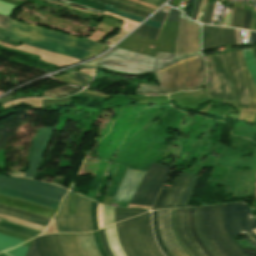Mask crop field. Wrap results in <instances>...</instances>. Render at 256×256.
Wrapping results in <instances>:
<instances>
[{"mask_svg": "<svg viewBox=\"0 0 256 256\" xmlns=\"http://www.w3.org/2000/svg\"><path fill=\"white\" fill-rule=\"evenodd\" d=\"M194 54H200L199 26L188 21L181 13L175 54L157 53V58H153L117 48L115 51L89 64L85 63L78 66H96L125 73H146L156 71L179 58Z\"/></svg>", "mask_w": 256, "mask_h": 256, "instance_id": "1", "label": "crop field"}, {"mask_svg": "<svg viewBox=\"0 0 256 256\" xmlns=\"http://www.w3.org/2000/svg\"><path fill=\"white\" fill-rule=\"evenodd\" d=\"M0 36L79 60L103 51L106 45L28 24L0 14ZM97 55V54H96Z\"/></svg>", "mask_w": 256, "mask_h": 256, "instance_id": "2", "label": "crop field"}, {"mask_svg": "<svg viewBox=\"0 0 256 256\" xmlns=\"http://www.w3.org/2000/svg\"><path fill=\"white\" fill-rule=\"evenodd\" d=\"M196 231L213 256H248L230 237L224 205L194 208Z\"/></svg>", "mask_w": 256, "mask_h": 256, "instance_id": "3", "label": "crop field"}, {"mask_svg": "<svg viewBox=\"0 0 256 256\" xmlns=\"http://www.w3.org/2000/svg\"><path fill=\"white\" fill-rule=\"evenodd\" d=\"M160 87L140 83L136 92L171 93L176 90H193L205 81L204 62L200 57L189 58L156 72Z\"/></svg>", "mask_w": 256, "mask_h": 256, "instance_id": "4", "label": "crop field"}, {"mask_svg": "<svg viewBox=\"0 0 256 256\" xmlns=\"http://www.w3.org/2000/svg\"><path fill=\"white\" fill-rule=\"evenodd\" d=\"M120 245L127 256H163L152 235L150 212L115 224Z\"/></svg>", "mask_w": 256, "mask_h": 256, "instance_id": "5", "label": "crop field"}, {"mask_svg": "<svg viewBox=\"0 0 256 256\" xmlns=\"http://www.w3.org/2000/svg\"><path fill=\"white\" fill-rule=\"evenodd\" d=\"M64 198L60 212L56 215L58 232H90L91 228V201L78 195L75 202V215H67V198Z\"/></svg>", "mask_w": 256, "mask_h": 256, "instance_id": "6", "label": "crop field"}, {"mask_svg": "<svg viewBox=\"0 0 256 256\" xmlns=\"http://www.w3.org/2000/svg\"><path fill=\"white\" fill-rule=\"evenodd\" d=\"M206 66L209 95L235 101L223 54L207 56Z\"/></svg>", "mask_w": 256, "mask_h": 256, "instance_id": "7", "label": "crop field"}, {"mask_svg": "<svg viewBox=\"0 0 256 256\" xmlns=\"http://www.w3.org/2000/svg\"><path fill=\"white\" fill-rule=\"evenodd\" d=\"M225 223L232 238L245 233L256 244V235L252 231L256 229V220L250 214L247 204H226Z\"/></svg>", "mask_w": 256, "mask_h": 256, "instance_id": "8", "label": "crop field"}, {"mask_svg": "<svg viewBox=\"0 0 256 256\" xmlns=\"http://www.w3.org/2000/svg\"><path fill=\"white\" fill-rule=\"evenodd\" d=\"M171 169L151 163L131 203L151 206Z\"/></svg>", "mask_w": 256, "mask_h": 256, "instance_id": "9", "label": "crop field"}, {"mask_svg": "<svg viewBox=\"0 0 256 256\" xmlns=\"http://www.w3.org/2000/svg\"><path fill=\"white\" fill-rule=\"evenodd\" d=\"M0 186L15 188L29 193L41 195L56 201H61L67 190L46 183L21 178L0 175Z\"/></svg>", "mask_w": 256, "mask_h": 256, "instance_id": "10", "label": "crop field"}, {"mask_svg": "<svg viewBox=\"0 0 256 256\" xmlns=\"http://www.w3.org/2000/svg\"><path fill=\"white\" fill-rule=\"evenodd\" d=\"M158 227L165 246L173 256H192L176 234L174 209L158 211Z\"/></svg>", "mask_w": 256, "mask_h": 256, "instance_id": "11", "label": "crop field"}, {"mask_svg": "<svg viewBox=\"0 0 256 256\" xmlns=\"http://www.w3.org/2000/svg\"><path fill=\"white\" fill-rule=\"evenodd\" d=\"M66 256H101L93 234H58Z\"/></svg>", "mask_w": 256, "mask_h": 256, "instance_id": "12", "label": "crop field"}, {"mask_svg": "<svg viewBox=\"0 0 256 256\" xmlns=\"http://www.w3.org/2000/svg\"><path fill=\"white\" fill-rule=\"evenodd\" d=\"M197 177L179 173L164 201L163 208L185 207Z\"/></svg>", "mask_w": 256, "mask_h": 256, "instance_id": "13", "label": "crop field"}, {"mask_svg": "<svg viewBox=\"0 0 256 256\" xmlns=\"http://www.w3.org/2000/svg\"><path fill=\"white\" fill-rule=\"evenodd\" d=\"M224 56L236 96L237 106L248 108V92L242 77L237 51L226 53Z\"/></svg>", "mask_w": 256, "mask_h": 256, "instance_id": "14", "label": "crop field"}, {"mask_svg": "<svg viewBox=\"0 0 256 256\" xmlns=\"http://www.w3.org/2000/svg\"><path fill=\"white\" fill-rule=\"evenodd\" d=\"M144 174V171L128 169L110 205L127 207Z\"/></svg>", "mask_w": 256, "mask_h": 256, "instance_id": "15", "label": "crop field"}, {"mask_svg": "<svg viewBox=\"0 0 256 256\" xmlns=\"http://www.w3.org/2000/svg\"><path fill=\"white\" fill-rule=\"evenodd\" d=\"M52 129L53 128H42L37 131L33 141L30 162L27 167L25 176L33 178L35 177L42 154L49 141Z\"/></svg>", "mask_w": 256, "mask_h": 256, "instance_id": "16", "label": "crop field"}, {"mask_svg": "<svg viewBox=\"0 0 256 256\" xmlns=\"http://www.w3.org/2000/svg\"><path fill=\"white\" fill-rule=\"evenodd\" d=\"M175 225L177 232L193 256H206L193 241L187 227V209H175Z\"/></svg>", "mask_w": 256, "mask_h": 256, "instance_id": "17", "label": "crop field"}, {"mask_svg": "<svg viewBox=\"0 0 256 256\" xmlns=\"http://www.w3.org/2000/svg\"><path fill=\"white\" fill-rule=\"evenodd\" d=\"M0 204L8 205L17 209L25 210L28 212H32V213L43 215L50 218H52V216L57 213L56 210H52L36 204H32V203L14 199V198L3 197V196H0Z\"/></svg>", "mask_w": 256, "mask_h": 256, "instance_id": "18", "label": "crop field"}, {"mask_svg": "<svg viewBox=\"0 0 256 256\" xmlns=\"http://www.w3.org/2000/svg\"><path fill=\"white\" fill-rule=\"evenodd\" d=\"M0 195L22 199L25 201L36 203V204L46 206V207L56 209V210L58 209L59 204H60L59 202L52 201V200H49V199H46L43 197H39L36 195H32V194H28V193H24L21 191L8 189V188H4V187H0Z\"/></svg>", "mask_w": 256, "mask_h": 256, "instance_id": "19", "label": "crop field"}, {"mask_svg": "<svg viewBox=\"0 0 256 256\" xmlns=\"http://www.w3.org/2000/svg\"><path fill=\"white\" fill-rule=\"evenodd\" d=\"M123 11L146 18L153 9L138 5L128 0H98Z\"/></svg>", "mask_w": 256, "mask_h": 256, "instance_id": "20", "label": "crop field"}, {"mask_svg": "<svg viewBox=\"0 0 256 256\" xmlns=\"http://www.w3.org/2000/svg\"><path fill=\"white\" fill-rule=\"evenodd\" d=\"M222 45L219 27L202 25V49Z\"/></svg>", "mask_w": 256, "mask_h": 256, "instance_id": "21", "label": "crop field"}, {"mask_svg": "<svg viewBox=\"0 0 256 256\" xmlns=\"http://www.w3.org/2000/svg\"><path fill=\"white\" fill-rule=\"evenodd\" d=\"M67 1H70V2H73V3H76V4H80V5L92 8V9H96V10H99V11H102V12L106 8V5H103V4H100V3H97V2H93V1H90V0H67ZM106 11L114 13L116 15L122 16V17L130 19V20H133V21L138 22V23H140L142 20H144L143 18L128 14L126 12L114 9L112 7H109V6H107Z\"/></svg>", "mask_w": 256, "mask_h": 256, "instance_id": "22", "label": "crop field"}, {"mask_svg": "<svg viewBox=\"0 0 256 256\" xmlns=\"http://www.w3.org/2000/svg\"><path fill=\"white\" fill-rule=\"evenodd\" d=\"M238 53H239V57H240L243 77H244L245 83H246V85L248 87V91H249V101H250L249 108L256 110V87H255V84H254L248 70L246 69L242 50L238 51Z\"/></svg>", "mask_w": 256, "mask_h": 256, "instance_id": "23", "label": "crop field"}, {"mask_svg": "<svg viewBox=\"0 0 256 256\" xmlns=\"http://www.w3.org/2000/svg\"><path fill=\"white\" fill-rule=\"evenodd\" d=\"M62 82L73 84L76 86H84L90 79V77L78 72L72 71L67 74L54 77Z\"/></svg>", "mask_w": 256, "mask_h": 256, "instance_id": "24", "label": "crop field"}, {"mask_svg": "<svg viewBox=\"0 0 256 256\" xmlns=\"http://www.w3.org/2000/svg\"><path fill=\"white\" fill-rule=\"evenodd\" d=\"M0 228H3L5 230L11 231V232H15L24 236H28V237H35L37 235L40 234V232L29 229V228H25V227H21L9 222H6L4 220L0 219Z\"/></svg>", "mask_w": 256, "mask_h": 256, "instance_id": "25", "label": "crop field"}, {"mask_svg": "<svg viewBox=\"0 0 256 256\" xmlns=\"http://www.w3.org/2000/svg\"><path fill=\"white\" fill-rule=\"evenodd\" d=\"M188 226H189V230L195 240V242L201 247V249L204 251V253L207 256H212L209 251L205 248V246L202 244V242L200 241V239L198 238L195 228H194V215H193V208H188Z\"/></svg>", "mask_w": 256, "mask_h": 256, "instance_id": "26", "label": "crop field"}, {"mask_svg": "<svg viewBox=\"0 0 256 256\" xmlns=\"http://www.w3.org/2000/svg\"><path fill=\"white\" fill-rule=\"evenodd\" d=\"M145 211L146 210L115 207V222L138 215V214H141ZM126 215H128V217H126Z\"/></svg>", "mask_w": 256, "mask_h": 256, "instance_id": "27", "label": "crop field"}, {"mask_svg": "<svg viewBox=\"0 0 256 256\" xmlns=\"http://www.w3.org/2000/svg\"><path fill=\"white\" fill-rule=\"evenodd\" d=\"M47 240L49 244V248L53 254V256H65L63 250L60 246L58 235L57 234H48Z\"/></svg>", "mask_w": 256, "mask_h": 256, "instance_id": "28", "label": "crop field"}, {"mask_svg": "<svg viewBox=\"0 0 256 256\" xmlns=\"http://www.w3.org/2000/svg\"><path fill=\"white\" fill-rule=\"evenodd\" d=\"M247 68L256 83V60L251 49L243 50Z\"/></svg>", "mask_w": 256, "mask_h": 256, "instance_id": "29", "label": "crop field"}, {"mask_svg": "<svg viewBox=\"0 0 256 256\" xmlns=\"http://www.w3.org/2000/svg\"><path fill=\"white\" fill-rule=\"evenodd\" d=\"M79 89L65 85L62 87H58L52 90H48L44 92V96H64L71 94Z\"/></svg>", "mask_w": 256, "mask_h": 256, "instance_id": "30", "label": "crop field"}, {"mask_svg": "<svg viewBox=\"0 0 256 256\" xmlns=\"http://www.w3.org/2000/svg\"><path fill=\"white\" fill-rule=\"evenodd\" d=\"M160 30L158 29H154V28H151L149 26H146V25H141L139 28H137L134 33L138 34V35H141L143 37H146V38H150V39H156L158 33H159ZM133 33V34H134Z\"/></svg>", "mask_w": 256, "mask_h": 256, "instance_id": "31", "label": "crop field"}, {"mask_svg": "<svg viewBox=\"0 0 256 256\" xmlns=\"http://www.w3.org/2000/svg\"><path fill=\"white\" fill-rule=\"evenodd\" d=\"M34 241L41 256H52L45 235L34 238Z\"/></svg>", "mask_w": 256, "mask_h": 256, "instance_id": "32", "label": "crop field"}, {"mask_svg": "<svg viewBox=\"0 0 256 256\" xmlns=\"http://www.w3.org/2000/svg\"><path fill=\"white\" fill-rule=\"evenodd\" d=\"M152 224H153V230H154V235L156 238V241L160 247V249L162 250V252L165 254V256H172L170 254V252L166 249V247L163 245L159 232H158V228H157V215H156V211H152Z\"/></svg>", "mask_w": 256, "mask_h": 256, "instance_id": "33", "label": "crop field"}, {"mask_svg": "<svg viewBox=\"0 0 256 256\" xmlns=\"http://www.w3.org/2000/svg\"><path fill=\"white\" fill-rule=\"evenodd\" d=\"M221 29L223 45H236L234 29L223 28Z\"/></svg>", "mask_w": 256, "mask_h": 256, "instance_id": "34", "label": "crop field"}, {"mask_svg": "<svg viewBox=\"0 0 256 256\" xmlns=\"http://www.w3.org/2000/svg\"><path fill=\"white\" fill-rule=\"evenodd\" d=\"M22 242L0 234V251L15 247Z\"/></svg>", "mask_w": 256, "mask_h": 256, "instance_id": "35", "label": "crop field"}, {"mask_svg": "<svg viewBox=\"0 0 256 256\" xmlns=\"http://www.w3.org/2000/svg\"><path fill=\"white\" fill-rule=\"evenodd\" d=\"M0 213L10 215V216H13V217H16V218H19V219H23V220H26V221H30V222L39 224V225L44 226V227H46V225H47V222L40 221V220L31 218V217H28V216H25V215H21V214L9 212V211H4V210H0Z\"/></svg>", "mask_w": 256, "mask_h": 256, "instance_id": "36", "label": "crop field"}, {"mask_svg": "<svg viewBox=\"0 0 256 256\" xmlns=\"http://www.w3.org/2000/svg\"><path fill=\"white\" fill-rule=\"evenodd\" d=\"M28 248L29 247H27V246L20 245V246H18L17 248H15L13 250L3 252V253H5L9 256H25Z\"/></svg>", "mask_w": 256, "mask_h": 256, "instance_id": "37", "label": "crop field"}, {"mask_svg": "<svg viewBox=\"0 0 256 256\" xmlns=\"http://www.w3.org/2000/svg\"><path fill=\"white\" fill-rule=\"evenodd\" d=\"M169 189H166V188H162L161 192L159 193L154 205H153V209L152 210H155V209H161L162 207V204H163V201L167 195V192H168Z\"/></svg>", "mask_w": 256, "mask_h": 256, "instance_id": "38", "label": "crop field"}, {"mask_svg": "<svg viewBox=\"0 0 256 256\" xmlns=\"http://www.w3.org/2000/svg\"><path fill=\"white\" fill-rule=\"evenodd\" d=\"M0 208L1 209H6V210H10V211H14V212H18V213H22V214H25V215H28V216H31V217H34V218H37V219H41V220L47 221V222L50 221V218H46V217H43V216H39V215H35V214H32V213H28V212H25V211L17 210V209L10 208V207H7V206L0 205Z\"/></svg>", "mask_w": 256, "mask_h": 256, "instance_id": "39", "label": "crop field"}, {"mask_svg": "<svg viewBox=\"0 0 256 256\" xmlns=\"http://www.w3.org/2000/svg\"><path fill=\"white\" fill-rule=\"evenodd\" d=\"M241 12H242L241 8H235L230 27H237V28H239L240 19H241Z\"/></svg>", "mask_w": 256, "mask_h": 256, "instance_id": "40", "label": "crop field"}, {"mask_svg": "<svg viewBox=\"0 0 256 256\" xmlns=\"http://www.w3.org/2000/svg\"><path fill=\"white\" fill-rule=\"evenodd\" d=\"M214 5L207 4L201 23H210L211 14Z\"/></svg>", "mask_w": 256, "mask_h": 256, "instance_id": "41", "label": "crop field"}, {"mask_svg": "<svg viewBox=\"0 0 256 256\" xmlns=\"http://www.w3.org/2000/svg\"><path fill=\"white\" fill-rule=\"evenodd\" d=\"M93 234H94L95 242H96V244H97V247H98V249H99L101 255H102V256H107L106 253H105L104 247H103V245H102V243H101L100 236H99V232H98V231H95V232H93Z\"/></svg>", "mask_w": 256, "mask_h": 256, "instance_id": "42", "label": "crop field"}, {"mask_svg": "<svg viewBox=\"0 0 256 256\" xmlns=\"http://www.w3.org/2000/svg\"><path fill=\"white\" fill-rule=\"evenodd\" d=\"M96 208H97V203L92 201L91 210H92V227H93V231L98 229L97 218H96Z\"/></svg>", "mask_w": 256, "mask_h": 256, "instance_id": "43", "label": "crop field"}, {"mask_svg": "<svg viewBox=\"0 0 256 256\" xmlns=\"http://www.w3.org/2000/svg\"><path fill=\"white\" fill-rule=\"evenodd\" d=\"M251 12L244 11L241 28L249 30Z\"/></svg>", "mask_w": 256, "mask_h": 256, "instance_id": "44", "label": "crop field"}, {"mask_svg": "<svg viewBox=\"0 0 256 256\" xmlns=\"http://www.w3.org/2000/svg\"><path fill=\"white\" fill-rule=\"evenodd\" d=\"M179 14H180L179 11L171 9V11H170L166 20L178 22Z\"/></svg>", "mask_w": 256, "mask_h": 256, "instance_id": "45", "label": "crop field"}, {"mask_svg": "<svg viewBox=\"0 0 256 256\" xmlns=\"http://www.w3.org/2000/svg\"><path fill=\"white\" fill-rule=\"evenodd\" d=\"M166 13L165 12H161L159 11L158 13H156L152 18H150V20H154L157 22H163L164 17H165Z\"/></svg>", "mask_w": 256, "mask_h": 256, "instance_id": "46", "label": "crop field"}, {"mask_svg": "<svg viewBox=\"0 0 256 256\" xmlns=\"http://www.w3.org/2000/svg\"><path fill=\"white\" fill-rule=\"evenodd\" d=\"M26 256H40L38 251H37V248L35 246L34 241L32 242V244H31V246L29 248V251H28Z\"/></svg>", "mask_w": 256, "mask_h": 256, "instance_id": "47", "label": "crop field"}, {"mask_svg": "<svg viewBox=\"0 0 256 256\" xmlns=\"http://www.w3.org/2000/svg\"><path fill=\"white\" fill-rule=\"evenodd\" d=\"M99 232H100V236H101L102 243H103V245H104V247H105V249H106L108 255H109V256H113V255L111 254V252H110L108 246H107L106 239H105V234H104V230L101 229V230H99Z\"/></svg>", "mask_w": 256, "mask_h": 256, "instance_id": "48", "label": "crop field"}, {"mask_svg": "<svg viewBox=\"0 0 256 256\" xmlns=\"http://www.w3.org/2000/svg\"><path fill=\"white\" fill-rule=\"evenodd\" d=\"M142 1L147 2L149 4H152V5L156 6V7H158L165 0H142Z\"/></svg>", "mask_w": 256, "mask_h": 256, "instance_id": "49", "label": "crop field"}, {"mask_svg": "<svg viewBox=\"0 0 256 256\" xmlns=\"http://www.w3.org/2000/svg\"><path fill=\"white\" fill-rule=\"evenodd\" d=\"M250 30L256 31V13H252V23Z\"/></svg>", "mask_w": 256, "mask_h": 256, "instance_id": "50", "label": "crop field"}, {"mask_svg": "<svg viewBox=\"0 0 256 256\" xmlns=\"http://www.w3.org/2000/svg\"><path fill=\"white\" fill-rule=\"evenodd\" d=\"M145 24L150 25V26H154V27H158V28H160L161 25H162L161 23H157V22L150 21V20L146 21Z\"/></svg>", "mask_w": 256, "mask_h": 256, "instance_id": "51", "label": "crop field"}, {"mask_svg": "<svg viewBox=\"0 0 256 256\" xmlns=\"http://www.w3.org/2000/svg\"><path fill=\"white\" fill-rule=\"evenodd\" d=\"M250 41L251 43H256V32L250 31Z\"/></svg>", "mask_w": 256, "mask_h": 256, "instance_id": "52", "label": "crop field"}, {"mask_svg": "<svg viewBox=\"0 0 256 256\" xmlns=\"http://www.w3.org/2000/svg\"><path fill=\"white\" fill-rule=\"evenodd\" d=\"M199 3H200V0H197L196 6H195L194 12H193V17H192L193 20H195L196 13H197V10H198V7H199Z\"/></svg>", "mask_w": 256, "mask_h": 256, "instance_id": "53", "label": "crop field"}, {"mask_svg": "<svg viewBox=\"0 0 256 256\" xmlns=\"http://www.w3.org/2000/svg\"><path fill=\"white\" fill-rule=\"evenodd\" d=\"M230 15H231V14H228V16H227L226 24H228V25H229V21H230Z\"/></svg>", "mask_w": 256, "mask_h": 256, "instance_id": "54", "label": "crop field"}, {"mask_svg": "<svg viewBox=\"0 0 256 256\" xmlns=\"http://www.w3.org/2000/svg\"><path fill=\"white\" fill-rule=\"evenodd\" d=\"M256 58V48L252 49Z\"/></svg>", "mask_w": 256, "mask_h": 256, "instance_id": "55", "label": "crop field"}, {"mask_svg": "<svg viewBox=\"0 0 256 256\" xmlns=\"http://www.w3.org/2000/svg\"><path fill=\"white\" fill-rule=\"evenodd\" d=\"M254 232L256 233V230H254Z\"/></svg>", "mask_w": 256, "mask_h": 256, "instance_id": "56", "label": "crop field"}]
</instances>
